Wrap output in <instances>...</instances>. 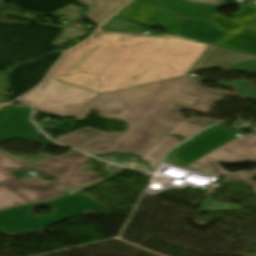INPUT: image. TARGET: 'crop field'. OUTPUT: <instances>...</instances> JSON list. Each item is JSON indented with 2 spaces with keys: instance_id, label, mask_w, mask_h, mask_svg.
Returning a JSON list of instances; mask_svg holds the SVG:
<instances>
[{
  "instance_id": "crop-field-21",
  "label": "crop field",
  "mask_w": 256,
  "mask_h": 256,
  "mask_svg": "<svg viewBox=\"0 0 256 256\" xmlns=\"http://www.w3.org/2000/svg\"><path fill=\"white\" fill-rule=\"evenodd\" d=\"M102 27L104 29H114L117 31H125L126 29H130L132 33H140V30H141V26L139 25L121 21L114 18H112L109 22H107Z\"/></svg>"
},
{
  "instance_id": "crop-field-23",
  "label": "crop field",
  "mask_w": 256,
  "mask_h": 256,
  "mask_svg": "<svg viewBox=\"0 0 256 256\" xmlns=\"http://www.w3.org/2000/svg\"><path fill=\"white\" fill-rule=\"evenodd\" d=\"M230 69L256 71V60L229 65Z\"/></svg>"
},
{
  "instance_id": "crop-field-1",
  "label": "crop field",
  "mask_w": 256,
  "mask_h": 256,
  "mask_svg": "<svg viewBox=\"0 0 256 256\" xmlns=\"http://www.w3.org/2000/svg\"><path fill=\"white\" fill-rule=\"evenodd\" d=\"M206 47L171 36L99 34L67 53L49 79L100 94L184 75Z\"/></svg>"
},
{
  "instance_id": "crop-field-22",
  "label": "crop field",
  "mask_w": 256,
  "mask_h": 256,
  "mask_svg": "<svg viewBox=\"0 0 256 256\" xmlns=\"http://www.w3.org/2000/svg\"><path fill=\"white\" fill-rule=\"evenodd\" d=\"M235 94L256 98V88L252 87L249 81H243Z\"/></svg>"
},
{
  "instance_id": "crop-field-29",
  "label": "crop field",
  "mask_w": 256,
  "mask_h": 256,
  "mask_svg": "<svg viewBox=\"0 0 256 256\" xmlns=\"http://www.w3.org/2000/svg\"><path fill=\"white\" fill-rule=\"evenodd\" d=\"M1 108V107H0Z\"/></svg>"
},
{
  "instance_id": "crop-field-27",
  "label": "crop field",
  "mask_w": 256,
  "mask_h": 256,
  "mask_svg": "<svg viewBox=\"0 0 256 256\" xmlns=\"http://www.w3.org/2000/svg\"><path fill=\"white\" fill-rule=\"evenodd\" d=\"M14 0H1L3 4H11Z\"/></svg>"
},
{
  "instance_id": "crop-field-7",
  "label": "crop field",
  "mask_w": 256,
  "mask_h": 256,
  "mask_svg": "<svg viewBox=\"0 0 256 256\" xmlns=\"http://www.w3.org/2000/svg\"><path fill=\"white\" fill-rule=\"evenodd\" d=\"M52 80L47 79L42 87L19 101L42 112L77 119L85 118L92 109L87 101L98 94Z\"/></svg>"
},
{
  "instance_id": "crop-field-14",
  "label": "crop field",
  "mask_w": 256,
  "mask_h": 256,
  "mask_svg": "<svg viewBox=\"0 0 256 256\" xmlns=\"http://www.w3.org/2000/svg\"><path fill=\"white\" fill-rule=\"evenodd\" d=\"M168 10L188 18L209 20L221 5H207L185 0H157Z\"/></svg>"
},
{
  "instance_id": "crop-field-16",
  "label": "crop field",
  "mask_w": 256,
  "mask_h": 256,
  "mask_svg": "<svg viewBox=\"0 0 256 256\" xmlns=\"http://www.w3.org/2000/svg\"><path fill=\"white\" fill-rule=\"evenodd\" d=\"M74 0H16L11 5L31 10L37 14L48 15Z\"/></svg>"
},
{
  "instance_id": "crop-field-20",
  "label": "crop field",
  "mask_w": 256,
  "mask_h": 256,
  "mask_svg": "<svg viewBox=\"0 0 256 256\" xmlns=\"http://www.w3.org/2000/svg\"><path fill=\"white\" fill-rule=\"evenodd\" d=\"M204 127L196 126L186 121H180L173 129H171L168 134H178L185 137H190L193 134L197 133Z\"/></svg>"
},
{
  "instance_id": "crop-field-17",
  "label": "crop field",
  "mask_w": 256,
  "mask_h": 256,
  "mask_svg": "<svg viewBox=\"0 0 256 256\" xmlns=\"http://www.w3.org/2000/svg\"><path fill=\"white\" fill-rule=\"evenodd\" d=\"M106 133H100L98 131H95L90 128H83L77 132L65 134L56 140L62 144L70 145L72 147L78 148L80 150L86 151L92 155H94L92 152H90L86 147L82 145V143L89 141L91 139H94L96 137H99L101 135H104Z\"/></svg>"
},
{
  "instance_id": "crop-field-24",
  "label": "crop field",
  "mask_w": 256,
  "mask_h": 256,
  "mask_svg": "<svg viewBox=\"0 0 256 256\" xmlns=\"http://www.w3.org/2000/svg\"><path fill=\"white\" fill-rule=\"evenodd\" d=\"M16 157L25 160L31 164L38 163L40 161H43L45 159H48L52 157L51 155H45V154H40V155H33V156H23V155H16Z\"/></svg>"
},
{
  "instance_id": "crop-field-28",
  "label": "crop field",
  "mask_w": 256,
  "mask_h": 256,
  "mask_svg": "<svg viewBox=\"0 0 256 256\" xmlns=\"http://www.w3.org/2000/svg\"><path fill=\"white\" fill-rule=\"evenodd\" d=\"M194 1H206V2H213V3H215V2H217L218 0H194Z\"/></svg>"
},
{
  "instance_id": "crop-field-3",
  "label": "crop field",
  "mask_w": 256,
  "mask_h": 256,
  "mask_svg": "<svg viewBox=\"0 0 256 256\" xmlns=\"http://www.w3.org/2000/svg\"><path fill=\"white\" fill-rule=\"evenodd\" d=\"M0 153L26 166L36 168L44 173L60 178L55 182H44L37 176L18 180L9 173L22 166L0 154V209L24 205L28 203L56 198L67 188L100 180L93 172L83 173L82 161L89 157L77 150L69 152L57 159L50 158L31 165L3 151ZM6 182L3 184L2 182Z\"/></svg>"
},
{
  "instance_id": "crop-field-2",
  "label": "crop field",
  "mask_w": 256,
  "mask_h": 256,
  "mask_svg": "<svg viewBox=\"0 0 256 256\" xmlns=\"http://www.w3.org/2000/svg\"><path fill=\"white\" fill-rule=\"evenodd\" d=\"M102 116L129 124L122 134H106L84 143L94 154L122 152L145 155L178 121L166 117L174 104L125 89L107 92L89 101Z\"/></svg>"
},
{
  "instance_id": "crop-field-30",
  "label": "crop field",
  "mask_w": 256,
  "mask_h": 256,
  "mask_svg": "<svg viewBox=\"0 0 256 256\" xmlns=\"http://www.w3.org/2000/svg\"><path fill=\"white\" fill-rule=\"evenodd\" d=\"M1 100V99H0Z\"/></svg>"
},
{
  "instance_id": "crop-field-6",
  "label": "crop field",
  "mask_w": 256,
  "mask_h": 256,
  "mask_svg": "<svg viewBox=\"0 0 256 256\" xmlns=\"http://www.w3.org/2000/svg\"><path fill=\"white\" fill-rule=\"evenodd\" d=\"M45 205L53 207L54 212L45 216L30 212ZM99 207H103L102 203L78 190L56 199L0 210V231L12 235L26 233Z\"/></svg>"
},
{
  "instance_id": "crop-field-10",
  "label": "crop field",
  "mask_w": 256,
  "mask_h": 256,
  "mask_svg": "<svg viewBox=\"0 0 256 256\" xmlns=\"http://www.w3.org/2000/svg\"><path fill=\"white\" fill-rule=\"evenodd\" d=\"M62 53H51L36 59L34 62L20 64L8 74L9 84L14 91L4 101L8 102L40 83L46 72L55 63Z\"/></svg>"
},
{
  "instance_id": "crop-field-25",
  "label": "crop field",
  "mask_w": 256,
  "mask_h": 256,
  "mask_svg": "<svg viewBox=\"0 0 256 256\" xmlns=\"http://www.w3.org/2000/svg\"><path fill=\"white\" fill-rule=\"evenodd\" d=\"M242 81H235V82H215V83H219V84H223V85H227V86H231V87H235L238 88V86L241 84Z\"/></svg>"
},
{
  "instance_id": "crop-field-4",
  "label": "crop field",
  "mask_w": 256,
  "mask_h": 256,
  "mask_svg": "<svg viewBox=\"0 0 256 256\" xmlns=\"http://www.w3.org/2000/svg\"><path fill=\"white\" fill-rule=\"evenodd\" d=\"M252 130L256 131V128ZM237 133L217 125L172 150L168 157L176 165L232 180H244L253 185V190L256 192V182L251 180L256 177V169L249 172L228 173L218 166L220 162H256V134L237 138L235 136Z\"/></svg>"
},
{
  "instance_id": "crop-field-19",
  "label": "crop field",
  "mask_w": 256,
  "mask_h": 256,
  "mask_svg": "<svg viewBox=\"0 0 256 256\" xmlns=\"http://www.w3.org/2000/svg\"><path fill=\"white\" fill-rule=\"evenodd\" d=\"M244 206L219 203L217 200L206 196L199 210L202 211H230L241 210Z\"/></svg>"
},
{
  "instance_id": "crop-field-9",
  "label": "crop field",
  "mask_w": 256,
  "mask_h": 256,
  "mask_svg": "<svg viewBox=\"0 0 256 256\" xmlns=\"http://www.w3.org/2000/svg\"><path fill=\"white\" fill-rule=\"evenodd\" d=\"M115 17L154 27L161 25L169 33H177L182 17L168 13L157 2L150 0H133L119 11Z\"/></svg>"
},
{
  "instance_id": "crop-field-12",
  "label": "crop field",
  "mask_w": 256,
  "mask_h": 256,
  "mask_svg": "<svg viewBox=\"0 0 256 256\" xmlns=\"http://www.w3.org/2000/svg\"><path fill=\"white\" fill-rule=\"evenodd\" d=\"M251 59H256L250 56L225 50L222 48L210 46L208 51L203 55V57L198 61L190 73L213 68L217 66L229 65L237 62L247 61Z\"/></svg>"
},
{
  "instance_id": "crop-field-18",
  "label": "crop field",
  "mask_w": 256,
  "mask_h": 256,
  "mask_svg": "<svg viewBox=\"0 0 256 256\" xmlns=\"http://www.w3.org/2000/svg\"><path fill=\"white\" fill-rule=\"evenodd\" d=\"M179 143L181 142H179L175 137H163L145 156L141 158V160L147 162L152 167V171L154 173L167 150Z\"/></svg>"
},
{
  "instance_id": "crop-field-15",
  "label": "crop field",
  "mask_w": 256,
  "mask_h": 256,
  "mask_svg": "<svg viewBox=\"0 0 256 256\" xmlns=\"http://www.w3.org/2000/svg\"><path fill=\"white\" fill-rule=\"evenodd\" d=\"M87 2L91 7L88 11V18L101 24L108 16L116 11L127 0H80Z\"/></svg>"
},
{
  "instance_id": "crop-field-13",
  "label": "crop field",
  "mask_w": 256,
  "mask_h": 256,
  "mask_svg": "<svg viewBox=\"0 0 256 256\" xmlns=\"http://www.w3.org/2000/svg\"><path fill=\"white\" fill-rule=\"evenodd\" d=\"M179 36L191 38L197 41L211 44L223 36L216 27L209 22L197 21L193 19H183L178 30Z\"/></svg>"
},
{
  "instance_id": "crop-field-8",
  "label": "crop field",
  "mask_w": 256,
  "mask_h": 256,
  "mask_svg": "<svg viewBox=\"0 0 256 256\" xmlns=\"http://www.w3.org/2000/svg\"><path fill=\"white\" fill-rule=\"evenodd\" d=\"M126 89L170 103L193 108L203 114H206L216 100L222 98L221 96L208 93L198 85L196 79L186 76Z\"/></svg>"
},
{
  "instance_id": "crop-field-5",
  "label": "crop field",
  "mask_w": 256,
  "mask_h": 256,
  "mask_svg": "<svg viewBox=\"0 0 256 256\" xmlns=\"http://www.w3.org/2000/svg\"><path fill=\"white\" fill-rule=\"evenodd\" d=\"M3 16L29 23L0 22V70L60 48L50 43L59 36L61 27L41 25L37 20L7 12ZM14 38L16 42L12 41Z\"/></svg>"
},
{
  "instance_id": "crop-field-11",
  "label": "crop field",
  "mask_w": 256,
  "mask_h": 256,
  "mask_svg": "<svg viewBox=\"0 0 256 256\" xmlns=\"http://www.w3.org/2000/svg\"><path fill=\"white\" fill-rule=\"evenodd\" d=\"M31 109L8 105L0 110V142L12 139L36 141L39 131L29 121Z\"/></svg>"
},
{
  "instance_id": "crop-field-26",
  "label": "crop field",
  "mask_w": 256,
  "mask_h": 256,
  "mask_svg": "<svg viewBox=\"0 0 256 256\" xmlns=\"http://www.w3.org/2000/svg\"><path fill=\"white\" fill-rule=\"evenodd\" d=\"M0 98L2 97V95L5 93V86H4V78L0 77Z\"/></svg>"
}]
</instances>
